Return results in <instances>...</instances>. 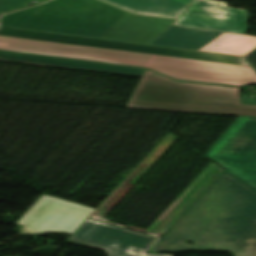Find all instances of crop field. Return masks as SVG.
Returning <instances> with one entry per match:
<instances>
[{"mask_svg":"<svg viewBox=\"0 0 256 256\" xmlns=\"http://www.w3.org/2000/svg\"><path fill=\"white\" fill-rule=\"evenodd\" d=\"M127 252L128 253H131V254H138V255H142L141 253H139V252H136V251H134V250H131V249H127Z\"/></svg>","mask_w":256,"mask_h":256,"instance_id":"obj_17","label":"crop field"},{"mask_svg":"<svg viewBox=\"0 0 256 256\" xmlns=\"http://www.w3.org/2000/svg\"><path fill=\"white\" fill-rule=\"evenodd\" d=\"M155 240V237L87 219L67 241L105 250L108 256H138L127 254V247L143 253Z\"/></svg>","mask_w":256,"mask_h":256,"instance_id":"obj_8","label":"crop field"},{"mask_svg":"<svg viewBox=\"0 0 256 256\" xmlns=\"http://www.w3.org/2000/svg\"><path fill=\"white\" fill-rule=\"evenodd\" d=\"M220 32L205 31L191 28H183L170 25L156 40L151 44L198 50Z\"/></svg>","mask_w":256,"mask_h":256,"instance_id":"obj_12","label":"crop field"},{"mask_svg":"<svg viewBox=\"0 0 256 256\" xmlns=\"http://www.w3.org/2000/svg\"><path fill=\"white\" fill-rule=\"evenodd\" d=\"M175 24L244 34L246 10L231 8L225 2L196 0Z\"/></svg>","mask_w":256,"mask_h":256,"instance_id":"obj_9","label":"crop field"},{"mask_svg":"<svg viewBox=\"0 0 256 256\" xmlns=\"http://www.w3.org/2000/svg\"><path fill=\"white\" fill-rule=\"evenodd\" d=\"M137 14L177 18L195 0H103Z\"/></svg>","mask_w":256,"mask_h":256,"instance_id":"obj_11","label":"crop field"},{"mask_svg":"<svg viewBox=\"0 0 256 256\" xmlns=\"http://www.w3.org/2000/svg\"><path fill=\"white\" fill-rule=\"evenodd\" d=\"M256 46V37L222 33L200 51L243 56Z\"/></svg>","mask_w":256,"mask_h":256,"instance_id":"obj_13","label":"crop field"},{"mask_svg":"<svg viewBox=\"0 0 256 256\" xmlns=\"http://www.w3.org/2000/svg\"><path fill=\"white\" fill-rule=\"evenodd\" d=\"M126 107L256 117L240 89L177 82L145 70Z\"/></svg>","mask_w":256,"mask_h":256,"instance_id":"obj_4","label":"crop field"},{"mask_svg":"<svg viewBox=\"0 0 256 256\" xmlns=\"http://www.w3.org/2000/svg\"><path fill=\"white\" fill-rule=\"evenodd\" d=\"M246 60L256 71V48L246 55Z\"/></svg>","mask_w":256,"mask_h":256,"instance_id":"obj_16","label":"crop field"},{"mask_svg":"<svg viewBox=\"0 0 256 256\" xmlns=\"http://www.w3.org/2000/svg\"><path fill=\"white\" fill-rule=\"evenodd\" d=\"M0 35L248 66L244 59L239 56L193 50L109 41L4 27H0Z\"/></svg>","mask_w":256,"mask_h":256,"instance_id":"obj_6","label":"crop field"},{"mask_svg":"<svg viewBox=\"0 0 256 256\" xmlns=\"http://www.w3.org/2000/svg\"><path fill=\"white\" fill-rule=\"evenodd\" d=\"M187 250L255 256L256 192L224 171L146 254Z\"/></svg>","mask_w":256,"mask_h":256,"instance_id":"obj_1","label":"crop field"},{"mask_svg":"<svg viewBox=\"0 0 256 256\" xmlns=\"http://www.w3.org/2000/svg\"><path fill=\"white\" fill-rule=\"evenodd\" d=\"M0 50L151 68L170 77L240 86L256 82L250 67L0 37Z\"/></svg>","mask_w":256,"mask_h":256,"instance_id":"obj_3","label":"crop field"},{"mask_svg":"<svg viewBox=\"0 0 256 256\" xmlns=\"http://www.w3.org/2000/svg\"><path fill=\"white\" fill-rule=\"evenodd\" d=\"M32 0H0V13L25 7L26 5L24 3L29 2ZM40 2H43L45 0H38Z\"/></svg>","mask_w":256,"mask_h":256,"instance_id":"obj_15","label":"crop field"},{"mask_svg":"<svg viewBox=\"0 0 256 256\" xmlns=\"http://www.w3.org/2000/svg\"><path fill=\"white\" fill-rule=\"evenodd\" d=\"M173 20L131 14L98 0H53L3 16L0 26L150 44Z\"/></svg>","mask_w":256,"mask_h":256,"instance_id":"obj_2","label":"crop field"},{"mask_svg":"<svg viewBox=\"0 0 256 256\" xmlns=\"http://www.w3.org/2000/svg\"><path fill=\"white\" fill-rule=\"evenodd\" d=\"M219 169L221 168L211 162L191 183V185H197L193 189V191L151 232V234L156 235L190 201V199L206 184V182ZM222 170L223 169H221L219 173ZM216 176L183 208V210L162 230V232H165L171 226V224L186 210V208L201 194V192L216 178Z\"/></svg>","mask_w":256,"mask_h":256,"instance_id":"obj_14","label":"crop field"},{"mask_svg":"<svg viewBox=\"0 0 256 256\" xmlns=\"http://www.w3.org/2000/svg\"><path fill=\"white\" fill-rule=\"evenodd\" d=\"M95 211L88 207L43 195L17 222L21 232H73Z\"/></svg>","mask_w":256,"mask_h":256,"instance_id":"obj_7","label":"crop field"},{"mask_svg":"<svg viewBox=\"0 0 256 256\" xmlns=\"http://www.w3.org/2000/svg\"><path fill=\"white\" fill-rule=\"evenodd\" d=\"M0 59L1 60H9V61H17V62H25V63L66 67V68H74V69H82V70L136 75V76H141V74L144 70V69H137V68L110 66V65H102V64L38 57V56H31V55L7 53V52H0Z\"/></svg>","mask_w":256,"mask_h":256,"instance_id":"obj_10","label":"crop field"},{"mask_svg":"<svg viewBox=\"0 0 256 256\" xmlns=\"http://www.w3.org/2000/svg\"><path fill=\"white\" fill-rule=\"evenodd\" d=\"M205 156L256 189V118L240 117Z\"/></svg>","mask_w":256,"mask_h":256,"instance_id":"obj_5","label":"crop field"}]
</instances>
